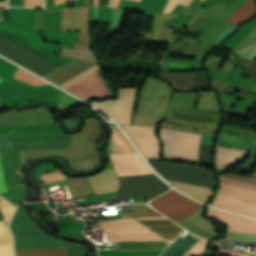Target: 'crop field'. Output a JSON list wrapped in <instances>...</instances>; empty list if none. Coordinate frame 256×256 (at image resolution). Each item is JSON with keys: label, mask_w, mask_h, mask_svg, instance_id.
<instances>
[{"label": "crop field", "mask_w": 256, "mask_h": 256, "mask_svg": "<svg viewBox=\"0 0 256 256\" xmlns=\"http://www.w3.org/2000/svg\"><path fill=\"white\" fill-rule=\"evenodd\" d=\"M98 69H100V66H99V65H96V66H94V67L88 69L87 71H85V72H83V73L77 75L76 77H74V78L68 80L67 82H65V83H63V84H61V85H59V86H61L62 88L65 89V88L71 86L72 84H74V83H76L77 81L83 79L84 77L88 76L89 74H91L92 72H94V71H96V70H98Z\"/></svg>", "instance_id": "30"}, {"label": "crop field", "mask_w": 256, "mask_h": 256, "mask_svg": "<svg viewBox=\"0 0 256 256\" xmlns=\"http://www.w3.org/2000/svg\"><path fill=\"white\" fill-rule=\"evenodd\" d=\"M221 251L223 254H227V255H233V256H250L244 253H239V252H235V251H231V250H227V249H223L221 248Z\"/></svg>", "instance_id": "35"}, {"label": "crop field", "mask_w": 256, "mask_h": 256, "mask_svg": "<svg viewBox=\"0 0 256 256\" xmlns=\"http://www.w3.org/2000/svg\"><path fill=\"white\" fill-rule=\"evenodd\" d=\"M65 1H68V0H54V4L62 3V2H65Z\"/></svg>", "instance_id": "40"}, {"label": "crop field", "mask_w": 256, "mask_h": 256, "mask_svg": "<svg viewBox=\"0 0 256 256\" xmlns=\"http://www.w3.org/2000/svg\"><path fill=\"white\" fill-rule=\"evenodd\" d=\"M198 241L188 235L178 237L160 256H184Z\"/></svg>", "instance_id": "18"}, {"label": "crop field", "mask_w": 256, "mask_h": 256, "mask_svg": "<svg viewBox=\"0 0 256 256\" xmlns=\"http://www.w3.org/2000/svg\"><path fill=\"white\" fill-rule=\"evenodd\" d=\"M44 0H24V6L27 7H42Z\"/></svg>", "instance_id": "34"}, {"label": "crop field", "mask_w": 256, "mask_h": 256, "mask_svg": "<svg viewBox=\"0 0 256 256\" xmlns=\"http://www.w3.org/2000/svg\"><path fill=\"white\" fill-rule=\"evenodd\" d=\"M109 240H165L133 218H122L99 223Z\"/></svg>", "instance_id": "5"}, {"label": "crop field", "mask_w": 256, "mask_h": 256, "mask_svg": "<svg viewBox=\"0 0 256 256\" xmlns=\"http://www.w3.org/2000/svg\"><path fill=\"white\" fill-rule=\"evenodd\" d=\"M0 6H8V2H0Z\"/></svg>", "instance_id": "42"}, {"label": "crop field", "mask_w": 256, "mask_h": 256, "mask_svg": "<svg viewBox=\"0 0 256 256\" xmlns=\"http://www.w3.org/2000/svg\"><path fill=\"white\" fill-rule=\"evenodd\" d=\"M15 79L30 83L32 85H37V84H47L41 80H39L38 78L30 75L29 73L21 70L20 68L18 69V71L15 73L14 75Z\"/></svg>", "instance_id": "28"}, {"label": "crop field", "mask_w": 256, "mask_h": 256, "mask_svg": "<svg viewBox=\"0 0 256 256\" xmlns=\"http://www.w3.org/2000/svg\"><path fill=\"white\" fill-rule=\"evenodd\" d=\"M3 165L6 188H16L14 169L21 168L17 151L0 152Z\"/></svg>", "instance_id": "16"}, {"label": "crop field", "mask_w": 256, "mask_h": 256, "mask_svg": "<svg viewBox=\"0 0 256 256\" xmlns=\"http://www.w3.org/2000/svg\"><path fill=\"white\" fill-rule=\"evenodd\" d=\"M138 1H140V0H138Z\"/></svg>", "instance_id": "48"}, {"label": "crop field", "mask_w": 256, "mask_h": 256, "mask_svg": "<svg viewBox=\"0 0 256 256\" xmlns=\"http://www.w3.org/2000/svg\"><path fill=\"white\" fill-rule=\"evenodd\" d=\"M245 154V151L218 147L216 168L227 169L230 166H234L238 161L244 158Z\"/></svg>", "instance_id": "17"}, {"label": "crop field", "mask_w": 256, "mask_h": 256, "mask_svg": "<svg viewBox=\"0 0 256 256\" xmlns=\"http://www.w3.org/2000/svg\"><path fill=\"white\" fill-rule=\"evenodd\" d=\"M68 189L73 198L93 195L86 177L68 180Z\"/></svg>", "instance_id": "22"}, {"label": "crop field", "mask_w": 256, "mask_h": 256, "mask_svg": "<svg viewBox=\"0 0 256 256\" xmlns=\"http://www.w3.org/2000/svg\"><path fill=\"white\" fill-rule=\"evenodd\" d=\"M136 91L137 89H119L118 99L105 102L92 101L91 104L113 117L118 123L131 124Z\"/></svg>", "instance_id": "7"}, {"label": "crop field", "mask_w": 256, "mask_h": 256, "mask_svg": "<svg viewBox=\"0 0 256 256\" xmlns=\"http://www.w3.org/2000/svg\"><path fill=\"white\" fill-rule=\"evenodd\" d=\"M120 184L160 181L154 175L118 177Z\"/></svg>", "instance_id": "25"}, {"label": "crop field", "mask_w": 256, "mask_h": 256, "mask_svg": "<svg viewBox=\"0 0 256 256\" xmlns=\"http://www.w3.org/2000/svg\"><path fill=\"white\" fill-rule=\"evenodd\" d=\"M56 97H57V101H58V105H59L60 109L68 108L73 105L82 103V102L74 99L73 97L65 94L64 92L57 94Z\"/></svg>", "instance_id": "27"}, {"label": "crop field", "mask_w": 256, "mask_h": 256, "mask_svg": "<svg viewBox=\"0 0 256 256\" xmlns=\"http://www.w3.org/2000/svg\"><path fill=\"white\" fill-rule=\"evenodd\" d=\"M113 130L116 132L114 133V136L112 135L113 137V143H112V148L115 150V152H131V151H135L133 149V147L130 145V143L128 142L127 138L122 134V132L117 128V127H114ZM112 140V138H111ZM111 140H110V143H111ZM110 143H109V152L110 154H116L114 152V150L111 148L110 146Z\"/></svg>", "instance_id": "23"}, {"label": "crop field", "mask_w": 256, "mask_h": 256, "mask_svg": "<svg viewBox=\"0 0 256 256\" xmlns=\"http://www.w3.org/2000/svg\"><path fill=\"white\" fill-rule=\"evenodd\" d=\"M64 179L66 178L62 175L60 171L45 173L40 177V181H44V183L64 180Z\"/></svg>", "instance_id": "32"}, {"label": "crop field", "mask_w": 256, "mask_h": 256, "mask_svg": "<svg viewBox=\"0 0 256 256\" xmlns=\"http://www.w3.org/2000/svg\"><path fill=\"white\" fill-rule=\"evenodd\" d=\"M3 81L1 78H0V82Z\"/></svg>", "instance_id": "46"}, {"label": "crop field", "mask_w": 256, "mask_h": 256, "mask_svg": "<svg viewBox=\"0 0 256 256\" xmlns=\"http://www.w3.org/2000/svg\"><path fill=\"white\" fill-rule=\"evenodd\" d=\"M164 158L197 161L200 136L161 128Z\"/></svg>", "instance_id": "4"}, {"label": "crop field", "mask_w": 256, "mask_h": 256, "mask_svg": "<svg viewBox=\"0 0 256 256\" xmlns=\"http://www.w3.org/2000/svg\"><path fill=\"white\" fill-rule=\"evenodd\" d=\"M247 58L255 60V58H256V48H253V50L250 52V54L248 55Z\"/></svg>", "instance_id": "38"}, {"label": "crop field", "mask_w": 256, "mask_h": 256, "mask_svg": "<svg viewBox=\"0 0 256 256\" xmlns=\"http://www.w3.org/2000/svg\"><path fill=\"white\" fill-rule=\"evenodd\" d=\"M187 0H181L179 3L185 5Z\"/></svg>", "instance_id": "43"}, {"label": "crop field", "mask_w": 256, "mask_h": 256, "mask_svg": "<svg viewBox=\"0 0 256 256\" xmlns=\"http://www.w3.org/2000/svg\"><path fill=\"white\" fill-rule=\"evenodd\" d=\"M132 137L146 158L160 159L156 127L121 125Z\"/></svg>", "instance_id": "8"}, {"label": "crop field", "mask_w": 256, "mask_h": 256, "mask_svg": "<svg viewBox=\"0 0 256 256\" xmlns=\"http://www.w3.org/2000/svg\"><path fill=\"white\" fill-rule=\"evenodd\" d=\"M168 119L169 120H177V121H185V122H193V123H201V124H209V125H217V126H220V124L222 122V121H217V120L183 117V116H175V115H170Z\"/></svg>", "instance_id": "26"}, {"label": "crop field", "mask_w": 256, "mask_h": 256, "mask_svg": "<svg viewBox=\"0 0 256 256\" xmlns=\"http://www.w3.org/2000/svg\"><path fill=\"white\" fill-rule=\"evenodd\" d=\"M134 212L124 213L126 217L150 216V211L145 205H133Z\"/></svg>", "instance_id": "31"}, {"label": "crop field", "mask_w": 256, "mask_h": 256, "mask_svg": "<svg viewBox=\"0 0 256 256\" xmlns=\"http://www.w3.org/2000/svg\"><path fill=\"white\" fill-rule=\"evenodd\" d=\"M203 212L204 208L196 211L177 223L191 232L205 238L213 239L219 237L218 233L216 232V227L213 226V221H207L202 218Z\"/></svg>", "instance_id": "12"}, {"label": "crop field", "mask_w": 256, "mask_h": 256, "mask_svg": "<svg viewBox=\"0 0 256 256\" xmlns=\"http://www.w3.org/2000/svg\"><path fill=\"white\" fill-rule=\"evenodd\" d=\"M150 203L151 206L175 222L202 208V205L186 198L174 190L166 193L165 195Z\"/></svg>", "instance_id": "6"}, {"label": "crop field", "mask_w": 256, "mask_h": 256, "mask_svg": "<svg viewBox=\"0 0 256 256\" xmlns=\"http://www.w3.org/2000/svg\"><path fill=\"white\" fill-rule=\"evenodd\" d=\"M149 163L153 166V168L163 177L172 178L182 181H188L198 184H204L213 186L215 185V181L212 177L210 171L201 170L192 167L150 161ZM168 181L177 185L176 188L182 190L183 192L196 197L202 201L207 202L209 197H211L212 187L203 186L193 183H187L177 180L167 179ZM169 182V183H170Z\"/></svg>", "instance_id": "3"}, {"label": "crop field", "mask_w": 256, "mask_h": 256, "mask_svg": "<svg viewBox=\"0 0 256 256\" xmlns=\"http://www.w3.org/2000/svg\"><path fill=\"white\" fill-rule=\"evenodd\" d=\"M1 220H3L2 217H0ZM0 256H15L12 236L4 221L0 222Z\"/></svg>", "instance_id": "20"}, {"label": "crop field", "mask_w": 256, "mask_h": 256, "mask_svg": "<svg viewBox=\"0 0 256 256\" xmlns=\"http://www.w3.org/2000/svg\"><path fill=\"white\" fill-rule=\"evenodd\" d=\"M17 210V209H16ZM15 249L66 246L65 242L47 236L36 227L23 208L17 210L10 223ZM67 247L15 250L17 256H65Z\"/></svg>", "instance_id": "1"}, {"label": "crop field", "mask_w": 256, "mask_h": 256, "mask_svg": "<svg viewBox=\"0 0 256 256\" xmlns=\"http://www.w3.org/2000/svg\"><path fill=\"white\" fill-rule=\"evenodd\" d=\"M191 1H192V0H189V1L186 3V5L188 6Z\"/></svg>", "instance_id": "45"}, {"label": "crop field", "mask_w": 256, "mask_h": 256, "mask_svg": "<svg viewBox=\"0 0 256 256\" xmlns=\"http://www.w3.org/2000/svg\"><path fill=\"white\" fill-rule=\"evenodd\" d=\"M218 192L211 205L256 217V174L247 178L234 175L219 177Z\"/></svg>", "instance_id": "2"}, {"label": "crop field", "mask_w": 256, "mask_h": 256, "mask_svg": "<svg viewBox=\"0 0 256 256\" xmlns=\"http://www.w3.org/2000/svg\"><path fill=\"white\" fill-rule=\"evenodd\" d=\"M151 216H162V215L157 212H153V213H151Z\"/></svg>", "instance_id": "41"}, {"label": "crop field", "mask_w": 256, "mask_h": 256, "mask_svg": "<svg viewBox=\"0 0 256 256\" xmlns=\"http://www.w3.org/2000/svg\"><path fill=\"white\" fill-rule=\"evenodd\" d=\"M139 220L165 219L163 217L138 218ZM143 224L164 236L168 240H174L182 231L178 225L169 220L141 221Z\"/></svg>", "instance_id": "15"}, {"label": "crop field", "mask_w": 256, "mask_h": 256, "mask_svg": "<svg viewBox=\"0 0 256 256\" xmlns=\"http://www.w3.org/2000/svg\"><path fill=\"white\" fill-rule=\"evenodd\" d=\"M15 207L12 206L8 201L4 198L0 197V210L4 216L6 223H8L12 217L13 211Z\"/></svg>", "instance_id": "29"}, {"label": "crop field", "mask_w": 256, "mask_h": 256, "mask_svg": "<svg viewBox=\"0 0 256 256\" xmlns=\"http://www.w3.org/2000/svg\"><path fill=\"white\" fill-rule=\"evenodd\" d=\"M119 251L152 250L166 248L164 241L154 242H118Z\"/></svg>", "instance_id": "21"}, {"label": "crop field", "mask_w": 256, "mask_h": 256, "mask_svg": "<svg viewBox=\"0 0 256 256\" xmlns=\"http://www.w3.org/2000/svg\"><path fill=\"white\" fill-rule=\"evenodd\" d=\"M120 0H114L112 7H117Z\"/></svg>", "instance_id": "39"}, {"label": "crop field", "mask_w": 256, "mask_h": 256, "mask_svg": "<svg viewBox=\"0 0 256 256\" xmlns=\"http://www.w3.org/2000/svg\"><path fill=\"white\" fill-rule=\"evenodd\" d=\"M207 217L215 218L227 226V231L256 234V221L222 212L208 207Z\"/></svg>", "instance_id": "11"}, {"label": "crop field", "mask_w": 256, "mask_h": 256, "mask_svg": "<svg viewBox=\"0 0 256 256\" xmlns=\"http://www.w3.org/2000/svg\"><path fill=\"white\" fill-rule=\"evenodd\" d=\"M0 216H2L1 213H0Z\"/></svg>", "instance_id": "47"}, {"label": "crop field", "mask_w": 256, "mask_h": 256, "mask_svg": "<svg viewBox=\"0 0 256 256\" xmlns=\"http://www.w3.org/2000/svg\"><path fill=\"white\" fill-rule=\"evenodd\" d=\"M227 237L229 238H238V239H248V240H256L255 235H247V234H239V233H231L227 232ZM229 238H224L222 240H219L217 242L230 246L232 242H241V243H254L256 244V241H248V240H238V239H229Z\"/></svg>", "instance_id": "24"}, {"label": "crop field", "mask_w": 256, "mask_h": 256, "mask_svg": "<svg viewBox=\"0 0 256 256\" xmlns=\"http://www.w3.org/2000/svg\"><path fill=\"white\" fill-rule=\"evenodd\" d=\"M88 181L94 195L114 192L119 185L113 169L105 170L99 175L88 177Z\"/></svg>", "instance_id": "14"}, {"label": "crop field", "mask_w": 256, "mask_h": 256, "mask_svg": "<svg viewBox=\"0 0 256 256\" xmlns=\"http://www.w3.org/2000/svg\"><path fill=\"white\" fill-rule=\"evenodd\" d=\"M118 176L152 174L137 153L110 155Z\"/></svg>", "instance_id": "10"}, {"label": "crop field", "mask_w": 256, "mask_h": 256, "mask_svg": "<svg viewBox=\"0 0 256 256\" xmlns=\"http://www.w3.org/2000/svg\"><path fill=\"white\" fill-rule=\"evenodd\" d=\"M254 13H255V8L252 4V1L247 0L239 10L235 9L230 15H228L224 19V21L232 25H237L239 23L246 21Z\"/></svg>", "instance_id": "19"}, {"label": "crop field", "mask_w": 256, "mask_h": 256, "mask_svg": "<svg viewBox=\"0 0 256 256\" xmlns=\"http://www.w3.org/2000/svg\"><path fill=\"white\" fill-rule=\"evenodd\" d=\"M83 99L110 95L95 73L65 89Z\"/></svg>", "instance_id": "13"}, {"label": "crop field", "mask_w": 256, "mask_h": 256, "mask_svg": "<svg viewBox=\"0 0 256 256\" xmlns=\"http://www.w3.org/2000/svg\"><path fill=\"white\" fill-rule=\"evenodd\" d=\"M206 242V240L201 239V241L194 248H192L186 256L197 255L204 248Z\"/></svg>", "instance_id": "33"}, {"label": "crop field", "mask_w": 256, "mask_h": 256, "mask_svg": "<svg viewBox=\"0 0 256 256\" xmlns=\"http://www.w3.org/2000/svg\"><path fill=\"white\" fill-rule=\"evenodd\" d=\"M179 0H169L163 12H171Z\"/></svg>", "instance_id": "36"}, {"label": "crop field", "mask_w": 256, "mask_h": 256, "mask_svg": "<svg viewBox=\"0 0 256 256\" xmlns=\"http://www.w3.org/2000/svg\"><path fill=\"white\" fill-rule=\"evenodd\" d=\"M5 190H6V188H5L2 165H1V160H0V192L5 191Z\"/></svg>", "instance_id": "37"}, {"label": "crop field", "mask_w": 256, "mask_h": 256, "mask_svg": "<svg viewBox=\"0 0 256 256\" xmlns=\"http://www.w3.org/2000/svg\"><path fill=\"white\" fill-rule=\"evenodd\" d=\"M112 2H113V0H110V2H109V5H108V6H110V7H111V5H112Z\"/></svg>", "instance_id": "44"}, {"label": "crop field", "mask_w": 256, "mask_h": 256, "mask_svg": "<svg viewBox=\"0 0 256 256\" xmlns=\"http://www.w3.org/2000/svg\"><path fill=\"white\" fill-rule=\"evenodd\" d=\"M169 187L162 182L120 185L116 200L152 199L165 192Z\"/></svg>", "instance_id": "9"}]
</instances>
